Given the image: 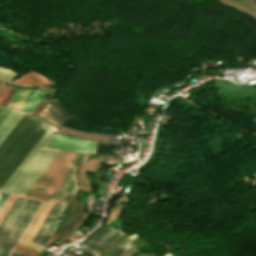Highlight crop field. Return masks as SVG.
<instances>
[{
    "label": "crop field",
    "instance_id": "crop-field-1",
    "mask_svg": "<svg viewBox=\"0 0 256 256\" xmlns=\"http://www.w3.org/2000/svg\"><path fill=\"white\" fill-rule=\"evenodd\" d=\"M54 131L55 130L51 127L49 128L6 183L1 187V191L21 196L24 195L36 178L57 154L56 151L41 149L52 136Z\"/></svg>",
    "mask_w": 256,
    "mask_h": 256
},
{
    "label": "crop field",
    "instance_id": "crop-field-2",
    "mask_svg": "<svg viewBox=\"0 0 256 256\" xmlns=\"http://www.w3.org/2000/svg\"><path fill=\"white\" fill-rule=\"evenodd\" d=\"M81 156L60 151L24 196L49 200Z\"/></svg>",
    "mask_w": 256,
    "mask_h": 256
},
{
    "label": "crop field",
    "instance_id": "crop-field-3",
    "mask_svg": "<svg viewBox=\"0 0 256 256\" xmlns=\"http://www.w3.org/2000/svg\"><path fill=\"white\" fill-rule=\"evenodd\" d=\"M76 166L71 171V173L68 175V177L64 180V182L61 184V186L57 189V191L54 193V195L51 197L50 200L57 201L54 205L53 209L47 216L46 220L42 224L41 228L35 235L34 239L32 240V243L40 245L44 247L47 240L53 233L54 229L58 225L56 219L68 203L70 197L75 192V190L78 187V181L77 176L75 175L76 172Z\"/></svg>",
    "mask_w": 256,
    "mask_h": 256
},
{
    "label": "crop field",
    "instance_id": "crop-field-4",
    "mask_svg": "<svg viewBox=\"0 0 256 256\" xmlns=\"http://www.w3.org/2000/svg\"><path fill=\"white\" fill-rule=\"evenodd\" d=\"M124 234L119 232L117 229L112 227H106L99 232H97L93 238L83 244V246H86L92 250H95L97 253L95 256H103L100 253L103 252L105 249H107L113 242L118 240L120 237H122ZM136 235L130 236L126 241H124L114 252H112L109 256H121L129 247L128 245Z\"/></svg>",
    "mask_w": 256,
    "mask_h": 256
},
{
    "label": "crop field",
    "instance_id": "crop-field-5",
    "mask_svg": "<svg viewBox=\"0 0 256 256\" xmlns=\"http://www.w3.org/2000/svg\"><path fill=\"white\" fill-rule=\"evenodd\" d=\"M96 144L97 142L79 140L55 134L46 146L72 152L95 153Z\"/></svg>",
    "mask_w": 256,
    "mask_h": 256
},
{
    "label": "crop field",
    "instance_id": "crop-field-6",
    "mask_svg": "<svg viewBox=\"0 0 256 256\" xmlns=\"http://www.w3.org/2000/svg\"><path fill=\"white\" fill-rule=\"evenodd\" d=\"M55 202L49 201V202H43L42 205L40 206L39 210L35 214L34 218L30 222L29 226L25 230L24 234L22 235V239L27 240L31 242L33 239L34 235L40 228L41 224L45 220L46 216L52 209L53 205Z\"/></svg>",
    "mask_w": 256,
    "mask_h": 256
},
{
    "label": "crop field",
    "instance_id": "crop-field-7",
    "mask_svg": "<svg viewBox=\"0 0 256 256\" xmlns=\"http://www.w3.org/2000/svg\"><path fill=\"white\" fill-rule=\"evenodd\" d=\"M39 116L47 119L57 127H61L71 117L68 116L63 109L54 101H51L39 114ZM46 120V121H47Z\"/></svg>",
    "mask_w": 256,
    "mask_h": 256
},
{
    "label": "crop field",
    "instance_id": "crop-field-8",
    "mask_svg": "<svg viewBox=\"0 0 256 256\" xmlns=\"http://www.w3.org/2000/svg\"><path fill=\"white\" fill-rule=\"evenodd\" d=\"M11 83L32 86V87L49 88L52 90L56 85V83L47 80L44 76L32 70L29 71L27 74H25L23 77L19 78L17 81H14Z\"/></svg>",
    "mask_w": 256,
    "mask_h": 256
},
{
    "label": "crop field",
    "instance_id": "crop-field-9",
    "mask_svg": "<svg viewBox=\"0 0 256 256\" xmlns=\"http://www.w3.org/2000/svg\"><path fill=\"white\" fill-rule=\"evenodd\" d=\"M47 91L31 89L21 110L31 113L37 103L46 94ZM33 112V111H32Z\"/></svg>",
    "mask_w": 256,
    "mask_h": 256
},
{
    "label": "crop field",
    "instance_id": "crop-field-10",
    "mask_svg": "<svg viewBox=\"0 0 256 256\" xmlns=\"http://www.w3.org/2000/svg\"><path fill=\"white\" fill-rule=\"evenodd\" d=\"M22 115L23 113L12 111L7 119L3 122V124L0 126V143L4 140Z\"/></svg>",
    "mask_w": 256,
    "mask_h": 256
},
{
    "label": "crop field",
    "instance_id": "crop-field-11",
    "mask_svg": "<svg viewBox=\"0 0 256 256\" xmlns=\"http://www.w3.org/2000/svg\"><path fill=\"white\" fill-rule=\"evenodd\" d=\"M15 198H16V196L9 195L8 199L4 203L3 207L0 210V222L3 219V217L5 216L6 212L10 208V206L13 203V201L15 200Z\"/></svg>",
    "mask_w": 256,
    "mask_h": 256
},
{
    "label": "crop field",
    "instance_id": "crop-field-12",
    "mask_svg": "<svg viewBox=\"0 0 256 256\" xmlns=\"http://www.w3.org/2000/svg\"><path fill=\"white\" fill-rule=\"evenodd\" d=\"M14 250L27 254L29 256H37L39 254V252L20 246L18 244H16V246L14 247Z\"/></svg>",
    "mask_w": 256,
    "mask_h": 256
},
{
    "label": "crop field",
    "instance_id": "crop-field-13",
    "mask_svg": "<svg viewBox=\"0 0 256 256\" xmlns=\"http://www.w3.org/2000/svg\"><path fill=\"white\" fill-rule=\"evenodd\" d=\"M27 93H28V90L23 89L22 93L20 94V96H19V98H18V100H17V102L14 106V109L20 110V108H21V106H22V104H23V102L26 98Z\"/></svg>",
    "mask_w": 256,
    "mask_h": 256
},
{
    "label": "crop field",
    "instance_id": "crop-field-14",
    "mask_svg": "<svg viewBox=\"0 0 256 256\" xmlns=\"http://www.w3.org/2000/svg\"><path fill=\"white\" fill-rule=\"evenodd\" d=\"M10 109H5L0 107V124L6 118V116L10 113Z\"/></svg>",
    "mask_w": 256,
    "mask_h": 256
},
{
    "label": "crop field",
    "instance_id": "crop-field-15",
    "mask_svg": "<svg viewBox=\"0 0 256 256\" xmlns=\"http://www.w3.org/2000/svg\"><path fill=\"white\" fill-rule=\"evenodd\" d=\"M18 244H21V245L26 246V247H29V248H31V249L37 250V251H39V252L42 250V248L33 246V245H31V244H28V243H25V242H22V241H18Z\"/></svg>",
    "mask_w": 256,
    "mask_h": 256
},
{
    "label": "crop field",
    "instance_id": "crop-field-16",
    "mask_svg": "<svg viewBox=\"0 0 256 256\" xmlns=\"http://www.w3.org/2000/svg\"><path fill=\"white\" fill-rule=\"evenodd\" d=\"M7 197H8L7 194L1 193V195H0V208L2 207V205L5 202V200L7 199Z\"/></svg>",
    "mask_w": 256,
    "mask_h": 256
},
{
    "label": "crop field",
    "instance_id": "crop-field-17",
    "mask_svg": "<svg viewBox=\"0 0 256 256\" xmlns=\"http://www.w3.org/2000/svg\"><path fill=\"white\" fill-rule=\"evenodd\" d=\"M10 256H27V255H24V254H21L19 252H16V251L12 250Z\"/></svg>",
    "mask_w": 256,
    "mask_h": 256
},
{
    "label": "crop field",
    "instance_id": "crop-field-18",
    "mask_svg": "<svg viewBox=\"0 0 256 256\" xmlns=\"http://www.w3.org/2000/svg\"><path fill=\"white\" fill-rule=\"evenodd\" d=\"M136 245L133 244L132 247L123 255V256H127L131 251L132 249L135 247Z\"/></svg>",
    "mask_w": 256,
    "mask_h": 256
},
{
    "label": "crop field",
    "instance_id": "crop-field-19",
    "mask_svg": "<svg viewBox=\"0 0 256 256\" xmlns=\"http://www.w3.org/2000/svg\"><path fill=\"white\" fill-rule=\"evenodd\" d=\"M165 256H172V255H170V254L167 253Z\"/></svg>",
    "mask_w": 256,
    "mask_h": 256
},
{
    "label": "crop field",
    "instance_id": "crop-field-20",
    "mask_svg": "<svg viewBox=\"0 0 256 256\" xmlns=\"http://www.w3.org/2000/svg\"><path fill=\"white\" fill-rule=\"evenodd\" d=\"M1 84V83H0Z\"/></svg>",
    "mask_w": 256,
    "mask_h": 256
}]
</instances>
